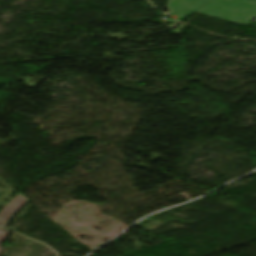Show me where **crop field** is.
<instances>
[{
  "mask_svg": "<svg viewBox=\"0 0 256 256\" xmlns=\"http://www.w3.org/2000/svg\"><path fill=\"white\" fill-rule=\"evenodd\" d=\"M9 231L0 229V244L5 239V237L8 235ZM2 248H0L1 251Z\"/></svg>",
  "mask_w": 256,
  "mask_h": 256,
  "instance_id": "crop-field-2",
  "label": "crop field"
},
{
  "mask_svg": "<svg viewBox=\"0 0 256 256\" xmlns=\"http://www.w3.org/2000/svg\"><path fill=\"white\" fill-rule=\"evenodd\" d=\"M28 200L20 193L14 197L8 205L0 212V226L5 228L8 220L27 202Z\"/></svg>",
  "mask_w": 256,
  "mask_h": 256,
  "instance_id": "crop-field-1",
  "label": "crop field"
}]
</instances>
